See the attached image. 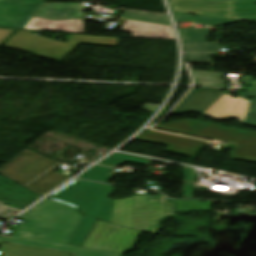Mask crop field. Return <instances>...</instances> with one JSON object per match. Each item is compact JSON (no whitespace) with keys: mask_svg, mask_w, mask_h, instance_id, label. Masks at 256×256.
I'll use <instances>...</instances> for the list:
<instances>
[{"mask_svg":"<svg viewBox=\"0 0 256 256\" xmlns=\"http://www.w3.org/2000/svg\"><path fill=\"white\" fill-rule=\"evenodd\" d=\"M61 165L25 150L3 165L0 174L43 196L69 178L53 172Z\"/></svg>","mask_w":256,"mask_h":256,"instance_id":"34b2d1b8","label":"crop field"},{"mask_svg":"<svg viewBox=\"0 0 256 256\" xmlns=\"http://www.w3.org/2000/svg\"><path fill=\"white\" fill-rule=\"evenodd\" d=\"M173 14L176 22H191L193 24H207L210 26H222V25L239 22L234 20L214 19V18H206V17H200V16L193 17L189 15L176 14V13H173Z\"/></svg>","mask_w":256,"mask_h":256,"instance_id":"cbeb9de0","label":"crop field"},{"mask_svg":"<svg viewBox=\"0 0 256 256\" xmlns=\"http://www.w3.org/2000/svg\"><path fill=\"white\" fill-rule=\"evenodd\" d=\"M142 109L147 110V111L153 113L157 109V106L144 104Z\"/></svg>","mask_w":256,"mask_h":256,"instance_id":"00972430","label":"crop field"},{"mask_svg":"<svg viewBox=\"0 0 256 256\" xmlns=\"http://www.w3.org/2000/svg\"><path fill=\"white\" fill-rule=\"evenodd\" d=\"M185 52L220 51L218 42H182Z\"/></svg>","mask_w":256,"mask_h":256,"instance_id":"733c2abd","label":"crop field"},{"mask_svg":"<svg viewBox=\"0 0 256 256\" xmlns=\"http://www.w3.org/2000/svg\"><path fill=\"white\" fill-rule=\"evenodd\" d=\"M18 218L24 220L27 227L13 228L14 234L1 235L0 241L74 252L75 256H122L67 245L82 219L69 206L45 199Z\"/></svg>","mask_w":256,"mask_h":256,"instance_id":"8a807250","label":"crop field"},{"mask_svg":"<svg viewBox=\"0 0 256 256\" xmlns=\"http://www.w3.org/2000/svg\"><path fill=\"white\" fill-rule=\"evenodd\" d=\"M0 256H71L70 253L0 243Z\"/></svg>","mask_w":256,"mask_h":256,"instance_id":"28ad6ade","label":"crop field"},{"mask_svg":"<svg viewBox=\"0 0 256 256\" xmlns=\"http://www.w3.org/2000/svg\"><path fill=\"white\" fill-rule=\"evenodd\" d=\"M21 210L0 204V219L7 221Z\"/></svg>","mask_w":256,"mask_h":256,"instance_id":"dafd665d","label":"crop field"},{"mask_svg":"<svg viewBox=\"0 0 256 256\" xmlns=\"http://www.w3.org/2000/svg\"><path fill=\"white\" fill-rule=\"evenodd\" d=\"M210 28H204L200 30H195V28L178 30L182 41H207L211 30Z\"/></svg>","mask_w":256,"mask_h":256,"instance_id":"5142ce71","label":"crop field"},{"mask_svg":"<svg viewBox=\"0 0 256 256\" xmlns=\"http://www.w3.org/2000/svg\"><path fill=\"white\" fill-rule=\"evenodd\" d=\"M121 31L132 32L133 37L174 39L171 28L126 21Z\"/></svg>","mask_w":256,"mask_h":256,"instance_id":"5a996713","label":"crop field"},{"mask_svg":"<svg viewBox=\"0 0 256 256\" xmlns=\"http://www.w3.org/2000/svg\"><path fill=\"white\" fill-rule=\"evenodd\" d=\"M88 8L80 4L45 3L34 16L51 19L82 18L81 12Z\"/></svg>","mask_w":256,"mask_h":256,"instance_id":"d8731c3e","label":"crop field"},{"mask_svg":"<svg viewBox=\"0 0 256 256\" xmlns=\"http://www.w3.org/2000/svg\"><path fill=\"white\" fill-rule=\"evenodd\" d=\"M255 96L254 99L249 103L250 107L246 113L244 124L250 126H256V91H246L242 93V97Z\"/></svg>","mask_w":256,"mask_h":256,"instance_id":"bc2a9ffb","label":"crop field"},{"mask_svg":"<svg viewBox=\"0 0 256 256\" xmlns=\"http://www.w3.org/2000/svg\"><path fill=\"white\" fill-rule=\"evenodd\" d=\"M124 162L150 166L152 160L120 153H114L110 157L102 161L99 165L116 167Z\"/></svg>","mask_w":256,"mask_h":256,"instance_id":"22f410ed","label":"crop field"},{"mask_svg":"<svg viewBox=\"0 0 256 256\" xmlns=\"http://www.w3.org/2000/svg\"><path fill=\"white\" fill-rule=\"evenodd\" d=\"M211 202L176 201V211H204L210 212Z\"/></svg>","mask_w":256,"mask_h":256,"instance_id":"4a817a6b","label":"crop field"},{"mask_svg":"<svg viewBox=\"0 0 256 256\" xmlns=\"http://www.w3.org/2000/svg\"><path fill=\"white\" fill-rule=\"evenodd\" d=\"M120 18L170 25L166 15L126 9Z\"/></svg>","mask_w":256,"mask_h":256,"instance_id":"d1516ede","label":"crop field"},{"mask_svg":"<svg viewBox=\"0 0 256 256\" xmlns=\"http://www.w3.org/2000/svg\"><path fill=\"white\" fill-rule=\"evenodd\" d=\"M114 190L111 185L75 180L48 198L70 205L84 215L70 245L82 246L97 219L109 223L113 200L108 198Z\"/></svg>","mask_w":256,"mask_h":256,"instance_id":"ac0d7876","label":"crop field"},{"mask_svg":"<svg viewBox=\"0 0 256 256\" xmlns=\"http://www.w3.org/2000/svg\"><path fill=\"white\" fill-rule=\"evenodd\" d=\"M44 0H0V28L23 29Z\"/></svg>","mask_w":256,"mask_h":256,"instance_id":"e52e79f7","label":"crop field"},{"mask_svg":"<svg viewBox=\"0 0 256 256\" xmlns=\"http://www.w3.org/2000/svg\"><path fill=\"white\" fill-rule=\"evenodd\" d=\"M173 214V203H165V196H133L125 200H114L110 223L155 233L159 220Z\"/></svg>","mask_w":256,"mask_h":256,"instance_id":"412701ff","label":"crop field"},{"mask_svg":"<svg viewBox=\"0 0 256 256\" xmlns=\"http://www.w3.org/2000/svg\"><path fill=\"white\" fill-rule=\"evenodd\" d=\"M141 232L97 220L83 246L124 254L129 252Z\"/></svg>","mask_w":256,"mask_h":256,"instance_id":"dd49c442","label":"crop field"},{"mask_svg":"<svg viewBox=\"0 0 256 256\" xmlns=\"http://www.w3.org/2000/svg\"><path fill=\"white\" fill-rule=\"evenodd\" d=\"M24 29L83 33V24L81 20L52 21L32 18Z\"/></svg>","mask_w":256,"mask_h":256,"instance_id":"3316defc","label":"crop field"},{"mask_svg":"<svg viewBox=\"0 0 256 256\" xmlns=\"http://www.w3.org/2000/svg\"><path fill=\"white\" fill-rule=\"evenodd\" d=\"M184 195L183 198H192L193 183L190 182V168L184 166Z\"/></svg>","mask_w":256,"mask_h":256,"instance_id":"92a150f3","label":"crop field"},{"mask_svg":"<svg viewBox=\"0 0 256 256\" xmlns=\"http://www.w3.org/2000/svg\"><path fill=\"white\" fill-rule=\"evenodd\" d=\"M36 32L18 31L4 47L60 61L80 43L117 47L119 39L71 35L67 44L35 35Z\"/></svg>","mask_w":256,"mask_h":256,"instance_id":"f4fd0767","label":"crop field"},{"mask_svg":"<svg viewBox=\"0 0 256 256\" xmlns=\"http://www.w3.org/2000/svg\"><path fill=\"white\" fill-rule=\"evenodd\" d=\"M189 62L211 63L212 53H186Z\"/></svg>","mask_w":256,"mask_h":256,"instance_id":"214f88e0","label":"crop field"},{"mask_svg":"<svg viewBox=\"0 0 256 256\" xmlns=\"http://www.w3.org/2000/svg\"><path fill=\"white\" fill-rule=\"evenodd\" d=\"M111 170H112L111 168L95 166L89 171H87L86 173H84L79 178L106 183L111 178H113V176L107 175Z\"/></svg>","mask_w":256,"mask_h":256,"instance_id":"d9b57169","label":"crop field"}]
</instances>
